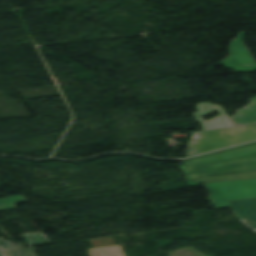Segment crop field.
I'll use <instances>...</instances> for the list:
<instances>
[{
	"mask_svg": "<svg viewBox=\"0 0 256 256\" xmlns=\"http://www.w3.org/2000/svg\"><path fill=\"white\" fill-rule=\"evenodd\" d=\"M187 179L256 172V143L183 162Z\"/></svg>",
	"mask_w": 256,
	"mask_h": 256,
	"instance_id": "obj_1",
	"label": "crop field"
},
{
	"mask_svg": "<svg viewBox=\"0 0 256 256\" xmlns=\"http://www.w3.org/2000/svg\"><path fill=\"white\" fill-rule=\"evenodd\" d=\"M227 129L198 133L201 138L190 141L187 157L256 139V125Z\"/></svg>",
	"mask_w": 256,
	"mask_h": 256,
	"instance_id": "obj_2",
	"label": "crop field"
},
{
	"mask_svg": "<svg viewBox=\"0 0 256 256\" xmlns=\"http://www.w3.org/2000/svg\"><path fill=\"white\" fill-rule=\"evenodd\" d=\"M196 108L198 112L193 113L196 121L200 122L203 131L215 130L224 127L240 126L256 123V97L250 98V104L237 110V115L227 118L220 105H213L208 103L197 104ZM218 111L220 116L203 121L201 116Z\"/></svg>",
	"mask_w": 256,
	"mask_h": 256,
	"instance_id": "obj_3",
	"label": "crop field"
},
{
	"mask_svg": "<svg viewBox=\"0 0 256 256\" xmlns=\"http://www.w3.org/2000/svg\"><path fill=\"white\" fill-rule=\"evenodd\" d=\"M219 209L231 207L229 201L256 198V178L207 183Z\"/></svg>",
	"mask_w": 256,
	"mask_h": 256,
	"instance_id": "obj_4",
	"label": "crop field"
},
{
	"mask_svg": "<svg viewBox=\"0 0 256 256\" xmlns=\"http://www.w3.org/2000/svg\"><path fill=\"white\" fill-rule=\"evenodd\" d=\"M243 34V32H240L237 39L231 42L230 57H227L225 61H221V64L226 67H233L236 72L255 71L256 63L252 60L249 52L241 41Z\"/></svg>",
	"mask_w": 256,
	"mask_h": 256,
	"instance_id": "obj_5",
	"label": "crop field"
},
{
	"mask_svg": "<svg viewBox=\"0 0 256 256\" xmlns=\"http://www.w3.org/2000/svg\"><path fill=\"white\" fill-rule=\"evenodd\" d=\"M102 238L90 240L94 249H90L88 256H125L120 245L115 246L114 238Z\"/></svg>",
	"mask_w": 256,
	"mask_h": 256,
	"instance_id": "obj_6",
	"label": "crop field"
},
{
	"mask_svg": "<svg viewBox=\"0 0 256 256\" xmlns=\"http://www.w3.org/2000/svg\"><path fill=\"white\" fill-rule=\"evenodd\" d=\"M237 217L241 219L256 218V199L230 202Z\"/></svg>",
	"mask_w": 256,
	"mask_h": 256,
	"instance_id": "obj_7",
	"label": "crop field"
},
{
	"mask_svg": "<svg viewBox=\"0 0 256 256\" xmlns=\"http://www.w3.org/2000/svg\"><path fill=\"white\" fill-rule=\"evenodd\" d=\"M252 177H256V173L219 176V177H210V178H201V179H191V180H187V182H188L189 186L191 187V186L203 184L205 182L242 179V178H252Z\"/></svg>",
	"mask_w": 256,
	"mask_h": 256,
	"instance_id": "obj_8",
	"label": "crop field"
},
{
	"mask_svg": "<svg viewBox=\"0 0 256 256\" xmlns=\"http://www.w3.org/2000/svg\"><path fill=\"white\" fill-rule=\"evenodd\" d=\"M27 200L22 196H14L9 198L0 199V206L2 207L3 211L13 210L16 209L14 204L26 202Z\"/></svg>",
	"mask_w": 256,
	"mask_h": 256,
	"instance_id": "obj_9",
	"label": "crop field"
},
{
	"mask_svg": "<svg viewBox=\"0 0 256 256\" xmlns=\"http://www.w3.org/2000/svg\"><path fill=\"white\" fill-rule=\"evenodd\" d=\"M4 256H37L32 247L2 251Z\"/></svg>",
	"mask_w": 256,
	"mask_h": 256,
	"instance_id": "obj_10",
	"label": "crop field"
},
{
	"mask_svg": "<svg viewBox=\"0 0 256 256\" xmlns=\"http://www.w3.org/2000/svg\"><path fill=\"white\" fill-rule=\"evenodd\" d=\"M35 235H37L42 240L43 243H41L33 234H24L21 236L26 240V242L29 244V246L49 244L46 237L42 236V233H35Z\"/></svg>",
	"mask_w": 256,
	"mask_h": 256,
	"instance_id": "obj_11",
	"label": "crop field"
},
{
	"mask_svg": "<svg viewBox=\"0 0 256 256\" xmlns=\"http://www.w3.org/2000/svg\"><path fill=\"white\" fill-rule=\"evenodd\" d=\"M18 248L15 244L9 243L4 239L0 238V250Z\"/></svg>",
	"mask_w": 256,
	"mask_h": 256,
	"instance_id": "obj_12",
	"label": "crop field"
},
{
	"mask_svg": "<svg viewBox=\"0 0 256 256\" xmlns=\"http://www.w3.org/2000/svg\"><path fill=\"white\" fill-rule=\"evenodd\" d=\"M252 221L256 223V219H253ZM249 226H251V227H253V228H255V229H256V224L249 225Z\"/></svg>",
	"mask_w": 256,
	"mask_h": 256,
	"instance_id": "obj_13",
	"label": "crop field"
},
{
	"mask_svg": "<svg viewBox=\"0 0 256 256\" xmlns=\"http://www.w3.org/2000/svg\"><path fill=\"white\" fill-rule=\"evenodd\" d=\"M0 256H3L1 252H0Z\"/></svg>",
	"mask_w": 256,
	"mask_h": 256,
	"instance_id": "obj_14",
	"label": "crop field"
},
{
	"mask_svg": "<svg viewBox=\"0 0 256 256\" xmlns=\"http://www.w3.org/2000/svg\"><path fill=\"white\" fill-rule=\"evenodd\" d=\"M0 211H2L1 207H0Z\"/></svg>",
	"mask_w": 256,
	"mask_h": 256,
	"instance_id": "obj_15",
	"label": "crop field"
}]
</instances>
